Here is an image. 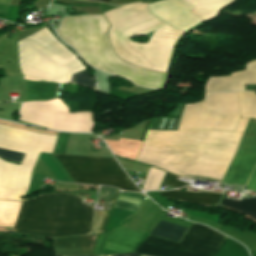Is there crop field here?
Listing matches in <instances>:
<instances>
[{
  "mask_svg": "<svg viewBox=\"0 0 256 256\" xmlns=\"http://www.w3.org/2000/svg\"><path fill=\"white\" fill-rule=\"evenodd\" d=\"M242 118L256 119V95L255 92H238Z\"/></svg>",
  "mask_w": 256,
  "mask_h": 256,
  "instance_id": "18",
  "label": "crop field"
},
{
  "mask_svg": "<svg viewBox=\"0 0 256 256\" xmlns=\"http://www.w3.org/2000/svg\"><path fill=\"white\" fill-rule=\"evenodd\" d=\"M159 195L174 197L189 202L202 203V204H219L221 194L207 193V192H185V191H165L160 192Z\"/></svg>",
  "mask_w": 256,
  "mask_h": 256,
  "instance_id": "16",
  "label": "crop field"
},
{
  "mask_svg": "<svg viewBox=\"0 0 256 256\" xmlns=\"http://www.w3.org/2000/svg\"><path fill=\"white\" fill-rule=\"evenodd\" d=\"M109 256H142V255L135 254V253H128V254L109 255Z\"/></svg>",
  "mask_w": 256,
  "mask_h": 256,
  "instance_id": "28",
  "label": "crop field"
},
{
  "mask_svg": "<svg viewBox=\"0 0 256 256\" xmlns=\"http://www.w3.org/2000/svg\"><path fill=\"white\" fill-rule=\"evenodd\" d=\"M114 207L134 212L138 206L116 201Z\"/></svg>",
  "mask_w": 256,
  "mask_h": 256,
  "instance_id": "25",
  "label": "crop field"
},
{
  "mask_svg": "<svg viewBox=\"0 0 256 256\" xmlns=\"http://www.w3.org/2000/svg\"><path fill=\"white\" fill-rule=\"evenodd\" d=\"M11 0H0V3H4V4H10Z\"/></svg>",
  "mask_w": 256,
  "mask_h": 256,
  "instance_id": "29",
  "label": "crop field"
},
{
  "mask_svg": "<svg viewBox=\"0 0 256 256\" xmlns=\"http://www.w3.org/2000/svg\"><path fill=\"white\" fill-rule=\"evenodd\" d=\"M55 138L0 125V148L26 153L21 166L0 159V199L22 200L38 154L52 153ZM20 203L0 201V226L13 227Z\"/></svg>",
  "mask_w": 256,
  "mask_h": 256,
  "instance_id": "5",
  "label": "crop field"
},
{
  "mask_svg": "<svg viewBox=\"0 0 256 256\" xmlns=\"http://www.w3.org/2000/svg\"><path fill=\"white\" fill-rule=\"evenodd\" d=\"M143 256H146V255H143Z\"/></svg>",
  "mask_w": 256,
  "mask_h": 256,
  "instance_id": "31",
  "label": "crop field"
},
{
  "mask_svg": "<svg viewBox=\"0 0 256 256\" xmlns=\"http://www.w3.org/2000/svg\"><path fill=\"white\" fill-rule=\"evenodd\" d=\"M184 231L185 229L159 222V224L151 231V234L178 242Z\"/></svg>",
  "mask_w": 256,
  "mask_h": 256,
  "instance_id": "20",
  "label": "crop field"
},
{
  "mask_svg": "<svg viewBox=\"0 0 256 256\" xmlns=\"http://www.w3.org/2000/svg\"><path fill=\"white\" fill-rule=\"evenodd\" d=\"M249 119L234 132L148 130L137 161L174 172L222 180Z\"/></svg>",
  "mask_w": 256,
  "mask_h": 256,
  "instance_id": "1",
  "label": "crop field"
},
{
  "mask_svg": "<svg viewBox=\"0 0 256 256\" xmlns=\"http://www.w3.org/2000/svg\"><path fill=\"white\" fill-rule=\"evenodd\" d=\"M220 204L226 207H229L231 209L237 210L239 212H242L256 219V198L245 199L242 201H233V200H228L222 197Z\"/></svg>",
  "mask_w": 256,
  "mask_h": 256,
  "instance_id": "19",
  "label": "crop field"
},
{
  "mask_svg": "<svg viewBox=\"0 0 256 256\" xmlns=\"http://www.w3.org/2000/svg\"><path fill=\"white\" fill-rule=\"evenodd\" d=\"M19 114L21 121L61 131L89 132L93 123L91 112L68 114L59 99L22 103Z\"/></svg>",
  "mask_w": 256,
  "mask_h": 256,
  "instance_id": "10",
  "label": "crop field"
},
{
  "mask_svg": "<svg viewBox=\"0 0 256 256\" xmlns=\"http://www.w3.org/2000/svg\"><path fill=\"white\" fill-rule=\"evenodd\" d=\"M193 9L190 11L203 21L216 17L219 10L228 6L233 0H184Z\"/></svg>",
  "mask_w": 256,
  "mask_h": 256,
  "instance_id": "15",
  "label": "crop field"
},
{
  "mask_svg": "<svg viewBox=\"0 0 256 256\" xmlns=\"http://www.w3.org/2000/svg\"><path fill=\"white\" fill-rule=\"evenodd\" d=\"M56 85L53 83L26 82V101L53 99Z\"/></svg>",
  "mask_w": 256,
  "mask_h": 256,
  "instance_id": "17",
  "label": "crop field"
},
{
  "mask_svg": "<svg viewBox=\"0 0 256 256\" xmlns=\"http://www.w3.org/2000/svg\"><path fill=\"white\" fill-rule=\"evenodd\" d=\"M123 4H128V3H135V2H145V3H151L156 0H119Z\"/></svg>",
  "mask_w": 256,
  "mask_h": 256,
  "instance_id": "27",
  "label": "crop field"
},
{
  "mask_svg": "<svg viewBox=\"0 0 256 256\" xmlns=\"http://www.w3.org/2000/svg\"><path fill=\"white\" fill-rule=\"evenodd\" d=\"M203 101L186 104L181 129L233 131L240 117L237 92L204 93Z\"/></svg>",
  "mask_w": 256,
  "mask_h": 256,
  "instance_id": "7",
  "label": "crop field"
},
{
  "mask_svg": "<svg viewBox=\"0 0 256 256\" xmlns=\"http://www.w3.org/2000/svg\"><path fill=\"white\" fill-rule=\"evenodd\" d=\"M18 47L21 73L32 81L69 82L72 74L85 69L46 28L19 41Z\"/></svg>",
  "mask_w": 256,
  "mask_h": 256,
  "instance_id": "6",
  "label": "crop field"
},
{
  "mask_svg": "<svg viewBox=\"0 0 256 256\" xmlns=\"http://www.w3.org/2000/svg\"><path fill=\"white\" fill-rule=\"evenodd\" d=\"M93 207L71 194H45L23 200L13 232L45 237L90 233Z\"/></svg>",
  "mask_w": 256,
  "mask_h": 256,
  "instance_id": "4",
  "label": "crop field"
},
{
  "mask_svg": "<svg viewBox=\"0 0 256 256\" xmlns=\"http://www.w3.org/2000/svg\"><path fill=\"white\" fill-rule=\"evenodd\" d=\"M110 24L109 39L116 55L139 67L165 72L176 39L182 31L169 26L155 31L149 43L138 44L131 39L166 24L153 18L145 4L121 6L104 13Z\"/></svg>",
  "mask_w": 256,
  "mask_h": 256,
  "instance_id": "2",
  "label": "crop field"
},
{
  "mask_svg": "<svg viewBox=\"0 0 256 256\" xmlns=\"http://www.w3.org/2000/svg\"><path fill=\"white\" fill-rule=\"evenodd\" d=\"M70 133H59L53 153L64 154Z\"/></svg>",
  "mask_w": 256,
  "mask_h": 256,
  "instance_id": "23",
  "label": "crop field"
},
{
  "mask_svg": "<svg viewBox=\"0 0 256 256\" xmlns=\"http://www.w3.org/2000/svg\"><path fill=\"white\" fill-rule=\"evenodd\" d=\"M247 189L256 191V168L247 184Z\"/></svg>",
  "mask_w": 256,
  "mask_h": 256,
  "instance_id": "26",
  "label": "crop field"
},
{
  "mask_svg": "<svg viewBox=\"0 0 256 256\" xmlns=\"http://www.w3.org/2000/svg\"><path fill=\"white\" fill-rule=\"evenodd\" d=\"M143 235L144 233L118 226L99 235L95 255H103L104 248L115 252H131Z\"/></svg>",
  "mask_w": 256,
  "mask_h": 256,
  "instance_id": "13",
  "label": "crop field"
},
{
  "mask_svg": "<svg viewBox=\"0 0 256 256\" xmlns=\"http://www.w3.org/2000/svg\"><path fill=\"white\" fill-rule=\"evenodd\" d=\"M107 27L102 15L64 17L56 31L90 66L134 84L163 89L169 74L139 69L119 60L108 43Z\"/></svg>",
  "mask_w": 256,
  "mask_h": 256,
  "instance_id": "3",
  "label": "crop field"
},
{
  "mask_svg": "<svg viewBox=\"0 0 256 256\" xmlns=\"http://www.w3.org/2000/svg\"><path fill=\"white\" fill-rule=\"evenodd\" d=\"M256 163V120H249L238 152L223 180L245 185Z\"/></svg>",
  "mask_w": 256,
  "mask_h": 256,
  "instance_id": "11",
  "label": "crop field"
},
{
  "mask_svg": "<svg viewBox=\"0 0 256 256\" xmlns=\"http://www.w3.org/2000/svg\"><path fill=\"white\" fill-rule=\"evenodd\" d=\"M163 184L169 185L171 187L174 188H178V187H182V186H186L189 185L187 183L181 182L179 180H176V176L170 173H166L164 179H163Z\"/></svg>",
  "mask_w": 256,
  "mask_h": 256,
  "instance_id": "24",
  "label": "crop field"
},
{
  "mask_svg": "<svg viewBox=\"0 0 256 256\" xmlns=\"http://www.w3.org/2000/svg\"><path fill=\"white\" fill-rule=\"evenodd\" d=\"M71 82H77V83L85 84V85L90 86L92 88H96V86L94 85L91 77L89 76V74L85 70L74 74L72 76Z\"/></svg>",
  "mask_w": 256,
  "mask_h": 256,
  "instance_id": "21",
  "label": "crop field"
},
{
  "mask_svg": "<svg viewBox=\"0 0 256 256\" xmlns=\"http://www.w3.org/2000/svg\"><path fill=\"white\" fill-rule=\"evenodd\" d=\"M245 84H256V60L246 64V71L222 78H209L206 91H245Z\"/></svg>",
  "mask_w": 256,
  "mask_h": 256,
  "instance_id": "14",
  "label": "crop field"
},
{
  "mask_svg": "<svg viewBox=\"0 0 256 256\" xmlns=\"http://www.w3.org/2000/svg\"><path fill=\"white\" fill-rule=\"evenodd\" d=\"M97 1H102V2H106V3L109 2V0H97Z\"/></svg>",
  "mask_w": 256,
  "mask_h": 256,
  "instance_id": "30",
  "label": "crop field"
},
{
  "mask_svg": "<svg viewBox=\"0 0 256 256\" xmlns=\"http://www.w3.org/2000/svg\"><path fill=\"white\" fill-rule=\"evenodd\" d=\"M54 155V154H53ZM75 183L106 185L139 191L115 159L54 155Z\"/></svg>",
  "mask_w": 256,
  "mask_h": 256,
  "instance_id": "9",
  "label": "crop field"
},
{
  "mask_svg": "<svg viewBox=\"0 0 256 256\" xmlns=\"http://www.w3.org/2000/svg\"><path fill=\"white\" fill-rule=\"evenodd\" d=\"M191 9L183 0H163L148 5L150 13L170 26L181 30L201 21L188 12Z\"/></svg>",
  "mask_w": 256,
  "mask_h": 256,
  "instance_id": "12",
  "label": "crop field"
},
{
  "mask_svg": "<svg viewBox=\"0 0 256 256\" xmlns=\"http://www.w3.org/2000/svg\"><path fill=\"white\" fill-rule=\"evenodd\" d=\"M227 239L204 225L192 223L179 243L149 234L134 252L154 256H216Z\"/></svg>",
  "mask_w": 256,
  "mask_h": 256,
  "instance_id": "8",
  "label": "crop field"
},
{
  "mask_svg": "<svg viewBox=\"0 0 256 256\" xmlns=\"http://www.w3.org/2000/svg\"><path fill=\"white\" fill-rule=\"evenodd\" d=\"M25 154L0 149V157L16 163H22Z\"/></svg>",
  "mask_w": 256,
  "mask_h": 256,
  "instance_id": "22",
  "label": "crop field"
}]
</instances>
